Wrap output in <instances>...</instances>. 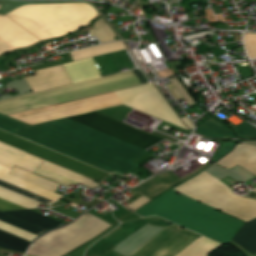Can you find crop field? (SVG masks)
Returning a JSON list of instances; mask_svg holds the SVG:
<instances>
[{"label": "crop field", "instance_id": "8a807250", "mask_svg": "<svg viewBox=\"0 0 256 256\" xmlns=\"http://www.w3.org/2000/svg\"><path fill=\"white\" fill-rule=\"evenodd\" d=\"M0 129L107 172L129 174L143 151L66 119L29 126L0 114Z\"/></svg>", "mask_w": 256, "mask_h": 256}, {"label": "crop field", "instance_id": "ac0d7876", "mask_svg": "<svg viewBox=\"0 0 256 256\" xmlns=\"http://www.w3.org/2000/svg\"><path fill=\"white\" fill-rule=\"evenodd\" d=\"M115 94L120 99L122 104L126 106L186 129L153 84H146L116 91ZM115 94L114 92H111L65 104H55L8 116L29 125H33L67 116L121 105V102Z\"/></svg>", "mask_w": 256, "mask_h": 256}, {"label": "crop field", "instance_id": "34b2d1b8", "mask_svg": "<svg viewBox=\"0 0 256 256\" xmlns=\"http://www.w3.org/2000/svg\"><path fill=\"white\" fill-rule=\"evenodd\" d=\"M213 209L170 190L135 212L143 217L158 215L200 235L229 242L243 222Z\"/></svg>", "mask_w": 256, "mask_h": 256}, {"label": "crop field", "instance_id": "412701ff", "mask_svg": "<svg viewBox=\"0 0 256 256\" xmlns=\"http://www.w3.org/2000/svg\"><path fill=\"white\" fill-rule=\"evenodd\" d=\"M174 189L244 221L256 216V200L234 197L228 187L205 172ZM231 240L255 254L256 217L245 222Z\"/></svg>", "mask_w": 256, "mask_h": 256}, {"label": "crop field", "instance_id": "f4fd0767", "mask_svg": "<svg viewBox=\"0 0 256 256\" xmlns=\"http://www.w3.org/2000/svg\"><path fill=\"white\" fill-rule=\"evenodd\" d=\"M96 15L87 3H68L25 5L5 16L42 41L80 29Z\"/></svg>", "mask_w": 256, "mask_h": 256}, {"label": "crop field", "instance_id": "dd49c442", "mask_svg": "<svg viewBox=\"0 0 256 256\" xmlns=\"http://www.w3.org/2000/svg\"><path fill=\"white\" fill-rule=\"evenodd\" d=\"M132 71L141 84L147 83L144 75L138 69ZM132 71L2 100L0 101V113L8 115L139 85L140 82Z\"/></svg>", "mask_w": 256, "mask_h": 256}, {"label": "crop field", "instance_id": "e52e79f7", "mask_svg": "<svg viewBox=\"0 0 256 256\" xmlns=\"http://www.w3.org/2000/svg\"><path fill=\"white\" fill-rule=\"evenodd\" d=\"M0 141L11 146L22 149L30 154L63 166L67 169L101 181L102 178L108 174L91 168L87 165L59 155L55 152L22 140L18 137L0 131ZM0 142V164L11 168L13 165H16L22 169H25L29 172H34L35 169L43 162V160L35 158L26 154V152L19 150L17 148L11 147L4 143Z\"/></svg>", "mask_w": 256, "mask_h": 256}, {"label": "crop field", "instance_id": "d8731c3e", "mask_svg": "<svg viewBox=\"0 0 256 256\" xmlns=\"http://www.w3.org/2000/svg\"><path fill=\"white\" fill-rule=\"evenodd\" d=\"M0 198L5 199L7 201H10L14 204H17L19 206H22L26 209H32L36 208L39 203L34 202L32 200H29L25 197H22L20 195H17L15 193H12L10 191H7L3 188H0ZM0 199V211L6 212V211H14V210H26L22 207H19L17 205H14L10 202H7L5 200ZM0 212V221L4 222L6 224H9L11 226H14L16 228H19L21 230H24L26 232H29L31 234H34L36 236H39L40 234L46 232L47 230H50L55 227L62 226L64 224L56 222L54 220H51L49 218H46L44 216H41L37 213H34L32 211H14V212H6V214H9L11 216L17 217L19 219H22L24 221H27L29 223H32L34 225L40 226H34L32 224H29L27 222H24L22 220H19L17 218L11 217L9 215H6L4 213ZM0 222V229L7 231L9 233H12L14 235H17L19 237H22L24 239H27L29 241L33 240L36 236L31 235L29 233H26L24 231H21L19 229H16L14 227H11L9 225H6L4 223Z\"/></svg>", "mask_w": 256, "mask_h": 256}, {"label": "crop field", "instance_id": "5a996713", "mask_svg": "<svg viewBox=\"0 0 256 256\" xmlns=\"http://www.w3.org/2000/svg\"><path fill=\"white\" fill-rule=\"evenodd\" d=\"M108 226L110 225L86 213L73 224L46 234L35 242L63 255Z\"/></svg>", "mask_w": 256, "mask_h": 256}, {"label": "crop field", "instance_id": "3316defc", "mask_svg": "<svg viewBox=\"0 0 256 256\" xmlns=\"http://www.w3.org/2000/svg\"><path fill=\"white\" fill-rule=\"evenodd\" d=\"M126 143L147 149L163 139L150 136L136 129L108 119L94 112L66 118Z\"/></svg>", "mask_w": 256, "mask_h": 256}, {"label": "crop field", "instance_id": "28ad6ade", "mask_svg": "<svg viewBox=\"0 0 256 256\" xmlns=\"http://www.w3.org/2000/svg\"><path fill=\"white\" fill-rule=\"evenodd\" d=\"M199 236L172 224L129 256H175Z\"/></svg>", "mask_w": 256, "mask_h": 256}, {"label": "crop field", "instance_id": "d1516ede", "mask_svg": "<svg viewBox=\"0 0 256 256\" xmlns=\"http://www.w3.org/2000/svg\"><path fill=\"white\" fill-rule=\"evenodd\" d=\"M10 170L11 169L0 165V179H3L5 181H7V182H10V183L15 184L17 186H20V187L25 188L27 190H30L32 192H35V193H37L39 195H42V196L47 197L49 199H52L54 201L58 200L61 197L58 194H54V193H52L50 191H47V190L42 189V188H40L38 186H35L33 184H30V183H28L26 181H23L21 179H18V178L14 177V176H11V175L7 174ZM3 180H0V186H3V187L8 188L10 190H13L15 192H18L20 194H23L25 196H28L30 198H33V199L38 200L40 202H43L45 204H51V203L54 202L52 200H49V199L44 198L42 196H39V195H37L35 193H32L30 191H27L25 189H22L20 187H17L15 185L7 183V182H5Z\"/></svg>", "mask_w": 256, "mask_h": 256}, {"label": "crop field", "instance_id": "22f410ed", "mask_svg": "<svg viewBox=\"0 0 256 256\" xmlns=\"http://www.w3.org/2000/svg\"><path fill=\"white\" fill-rule=\"evenodd\" d=\"M38 40L4 16H0V53L28 46Z\"/></svg>", "mask_w": 256, "mask_h": 256}, {"label": "crop field", "instance_id": "cbeb9de0", "mask_svg": "<svg viewBox=\"0 0 256 256\" xmlns=\"http://www.w3.org/2000/svg\"><path fill=\"white\" fill-rule=\"evenodd\" d=\"M33 73L35 76L25 78L33 92L71 83L63 65L35 71Z\"/></svg>", "mask_w": 256, "mask_h": 256}, {"label": "crop field", "instance_id": "5142ce71", "mask_svg": "<svg viewBox=\"0 0 256 256\" xmlns=\"http://www.w3.org/2000/svg\"><path fill=\"white\" fill-rule=\"evenodd\" d=\"M215 164L227 169L238 164L256 175V147L238 143L231 153Z\"/></svg>", "mask_w": 256, "mask_h": 256}, {"label": "crop field", "instance_id": "d9b57169", "mask_svg": "<svg viewBox=\"0 0 256 256\" xmlns=\"http://www.w3.org/2000/svg\"><path fill=\"white\" fill-rule=\"evenodd\" d=\"M180 182L182 181L179 180L174 174L172 175L170 171H167L141 183V188H132V190L149 199H152Z\"/></svg>", "mask_w": 256, "mask_h": 256}, {"label": "crop field", "instance_id": "733c2abd", "mask_svg": "<svg viewBox=\"0 0 256 256\" xmlns=\"http://www.w3.org/2000/svg\"><path fill=\"white\" fill-rule=\"evenodd\" d=\"M72 83L100 77L91 58L64 65Z\"/></svg>", "mask_w": 256, "mask_h": 256}, {"label": "crop field", "instance_id": "4a817a6b", "mask_svg": "<svg viewBox=\"0 0 256 256\" xmlns=\"http://www.w3.org/2000/svg\"><path fill=\"white\" fill-rule=\"evenodd\" d=\"M126 49L121 41L71 52L72 60H79Z\"/></svg>", "mask_w": 256, "mask_h": 256}, {"label": "crop field", "instance_id": "bc2a9ffb", "mask_svg": "<svg viewBox=\"0 0 256 256\" xmlns=\"http://www.w3.org/2000/svg\"><path fill=\"white\" fill-rule=\"evenodd\" d=\"M196 132H198L201 135L209 136V137H215V138H229L233 137L232 132L213 119L212 117L209 118L207 121L202 123L200 126H198L195 129Z\"/></svg>", "mask_w": 256, "mask_h": 256}, {"label": "crop field", "instance_id": "214f88e0", "mask_svg": "<svg viewBox=\"0 0 256 256\" xmlns=\"http://www.w3.org/2000/svg\"><path fill=\"white\" fill-rule=\"evenodd\" d=\"M217 245L219 244L200 237L177 256H205Z\"/></svg>", "mask_w": 256, "mask_h": 256}, {"label": "crop field", "instance_id": "92a150f3", "mask_svg": "<svg viewBox=\"0 0 256 256\" xmlns=\"http://www.w3.org/2000/svg\"><path fill=\"white\" fill-rule=\"evenodd\" d=\"M9 174L14 175L16 177H19V178H21L23 180H26L28 182H31L33 184H36L38 186H41L43 188H46V189H48L50 191H53L55 193H56L57 189L59 188V185H57L55 183H52L50 181H47V180H45L43 178H40V177H38L36 175H33V174L29 173V172H26L24 170H21V169H19L17 167H14L9 172Z\"/></svg>", "mask_w": 256, "mask_h": 256}, {"label": "crop field", "instance_id": "dafd665d", "mask_svg": "<svg viewBox=\"0 0 256 256\" xmlns=\"http://www.w3.org/2000/svg\"><path fill=\"white\" fill-rule=\"evenodd\" d=\"M41 167H43V168H45V169H48V170H50V171H52V172H55V173H57V174H60V175H62V176H65V177H67V178H70V179H72V180H75V181H77V182H80V183H82V184H84V185H86V186L92 187V188L99 186V184L93 182V180H91V179H89V178H86V177H84V176H81V175H79V174H76V173H74V172H71V171L66 170V169H64V168H61V167H59V166L53 165V164L48 163V162H46V161H44V162L41 164Z\"/></svg>", "mask_w": 256, "mask_h": 256}, {"label": "crop field", "instance_id": "00972430", "mask_svg": "<svg viewBox=\"0 0 256 256\" xmlns=\"http://www.w3.org/2000/svg\"><path fill=\"white\" fill-rule=\"evenodd\" d=\"M92 28L93 29L87 31L88 35L96 36L99 39L100 43L114 40V33L111 31V29L102 18H100V20L97 21Z\"/></svg>", "mask_w": 256, "mask_h": 256}, {"label": "crop field", "instance_id": "a9b5d70f", "mask_svg": "<svg viewBox=\"0 0 256 256\" xmlns=\"http://www.w3.org/2000/svg\"><path fill=\"white\" fill-rule=\"evenodd\" d=\"M170 81L172 84L167 85L166 87L176 100L184 98L189 106L195 104L176 78H172Z\"/></svg>", "mask_w": 256, "mask_h": 256}, {"label": "crop field", "instance_id": "4177f3b9", "mask_svg": "<svg viewBox=\"0 0 256 256\" xmlns=\"http://www.w3.org/2000/svg\"><path fill=\"white\" fill-rule=\"evenodd\" d=\"M34 174H37V175L42 176L44 178L50 179V180L55 181L57 183L63 184L65 186H67L71 183L77 184V182H75V181H72L70 179L64 178V177L59 176L57 174H54V173H52L50 171H47L45 169H42L40 167L34 172Z\"/></svg>", "mask_w": 256, "mask_h": 256}, {"label": "crop field", "instance_id": "730fd06b", "mask_svg": "<svg viewBox=\"0 0 256 256\" xmlns=\"http://www.w3.org/2000/svg\"><path fill=\"white\" fill-rule=\"evenodd\" d=\"M244 44L248 57H256V34L244 33Z\"/></svg>", "mask_w": 256, "mask_h": 256}, {"label": "crop field", "instance_id": "eef30255", "mask_svg": "<svg viewBox=\"0 0 256 256\" xmlns=\"http://www.w3.org/2000/svg\"><path fill=\"white\" fill-rule=\"evenodd\" d=\"M230 127L234 130L237 137L256 135V128L245 121L236 127L234 125Z\"/></svg>", "mask_w": 256, "mask_h": 256}, {"label": "crop field", "instance_id": "ae1a2a85", "mask_svg": "<svg viewBox=\"0 0 256 256\" xmlns=\"http://www.w3.org/2000/svg\"><path fill=\"white\" fill-rule=\"evenodd\" d=\"M233 146H234V143H222L221 147L219 148V150L217 151V153L213 157L212 161H215L217 158H219L220 156L225 154L227 151L232 149Z\"/></svg>", "mask_w": 256, "mask_h": 256}, {"label": "crop field", "instance_id": "d3111659", "mask_svg": "<svg viewBox=\"0 0 256 256\" xmlns=\"http://www.w3.org/2000/svg\"><path fill=\"white\" fill-rule=\"evenodd\" d=\"M99 238H101V237H99V236L96 237V238H95L94 240H92L91 242H89V243H87V244L81 246L80 248H78V249L72 251L71 253H69V254H67V255H69V256H82L83 251H84L88 246H90L91 244H93V243H94L97 239H99Z\"/></svg>", "mask_w": 256, "mask_h": 256}, {"label": "crop field", "instance_id": "750c4746", "mask_svg": "<svg viewBox=\"0 0 256 256\" xmlns=\"http://www.w3.org/2000/svg\"><path fill=\"white\" fill-rule=\"evenodd\" d=\"M50 210H53V211H56V212H59V213H62L64 215H67V216H70L72 218H76L77 216L80 215V213H76V212H73L71 210H68L66 208H62V207H56V208H52Z\"/></svg>", "mask_w": 256, "mask_h": 256}, {"label": "crop field", "instance_id": "bd1437ed", "mask_svg": "<svg viewBox=\"0 0 256 256\" xmlns=\"http://www.w3.org/2000/svg\"><path fill=\"white\" fill-rule=\"evenodd\" d=\"M149 199L145 198V197H140L139 199H137L136 201H134L133 203H131L130 205H128L129 208L131 209H136L137 207H139L140 205L144 204L145 202H147Z\"/></svg>", "mask_w": 256, "mask_h": 256}, {"label": "crop field", "instance_id": "1d83c4d3", "mask_svg": "<svg viewBox=\"0 0 256 256\" xmlns=\"http://www.w3.org/2000/svg\"><path fill=\"white\" fill-rule=\"evenodd\" d=\"M184 122V124L188 127V128H193V124L192 122L189 120V118L187 116L181 118Z\"/></svg>", "mask_w": 256, "mask_h": 256}, {"label": "crop field", "instance_id": "120bbe31", "mask_svg": "<svg viewBox=\"0 0 256 256\" xmlns=\"http://www.w3.org/2000/svg\"><path fill=\"white\" fill-rule=\"evenodd\" d=\"M254 191H256V189Z\"/></svg>", "mask_w": 256, "mask_h": 256}]
</instances>
